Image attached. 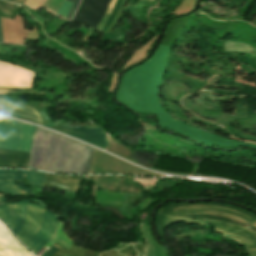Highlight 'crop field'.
<instances>
[{"label":"crop field","mask_w":256,"mask_h":256,"mask_svg":"<svg viewBox=\"0 0 256 256\" xmlns=\"http://www.w3.org/2000/svg\"><path fill=\"white\" fill-rule=\"evenodd\" d=\"M171 48L162 46L144 64L124 74L117 98L130 108L144 113H155L161 125L177 130L197 142L220 146L256 145L241 143L199 130L170 116L160 105L157 90L162 80L167 56Z\"/></svg>","instance_id":"8a807250"},{"label":"crop field","mask_w":256,"mask_h":256,"mask_svg":"<svg viewBox=\"0 0 256 256\" xmlns=\"http://www.w3.org/2000/svg\"><path fill=\"white\" fill-rule=\"evenodd\" d=\"M92 150V147L37 127L28 168L66 174H87Z\"/></svg>","instance_id":"ac0d7876"},{"label":"crop field","mask_w":256,"mask_h":256,"mask_svg":"<svg viewBox=\"0 0 256 256\" xmlns=\"http://www.w3.org/2000/svg\"><path fill=\"white\" fill-rule=\"evenodd\" d=\"M163 215L209 213L225 216L252 225L256 214L216 202L171 203L158 210Z\"/></svg>","instance_id":"34b2d1b8"},{"label":"crop field","mask_w":256,"mask_h":256,"mask_svg":"<svg viewBox=\"0 0 256 256\" xmlns=\"http://www.w3.org/2000/svg\"><path fill=\"white\" fill-rule=\"evenodd\" d=\"M35 128L0 116V149L30 153Z\"/></svg>","instance_id":"412701ff"},{"label":"crop field","mask_w":256,"mask_h":256,"mask_svg":"<svg viewBox=\"0 0 256 256\" xmlns=\"http://www.w3.org/2000/svg\"><path fill=\"white\" fill-rule=\"evenodd\" d=\"M209 222L223 236L242 241L247 256H256V232L227 222L201 219Z\"/></svg>","instance_id":"f4fd0767"},{"label":"crop field","mask_w":256,"mask_h":256,"mask_svg":"<svg viewBox=\"0 0 256 256\" xmlns=\"http://www.w3.org/2000/svg\"><path fill=\"white\" fill-rule=\"evenodd\" d=\"M34 72L0 62V88H33Z\"/></svg>","instance_id":"dd49c442"},{"label":"crop field","mask_w":256,"mask_h":256,"mask_svg":"<svg viewBox=\"0 0 256 256\" xmlns=\"http://www.w3.org/2000/svg\"><path fill=\"white\" fill-rule=\"evenodd\" d=\"M109 0H82L78 12L72 21L96 29Z\"/></svg>","instance_id":"e52e79f7"},{"label":"crop field","mask_w":256,"mask_h":256,"mask_svg":"<svg viewBox=\"0 0 256 256\" xmlns=\"http://www.w3.org/2000/svg\"><path fill=\"white\" fill-rule=\"evenodd\" d=\"M45 209V206L28 203L25 224L16 235L25 246L39 231Z\"/></svg>","instance_id":"d8731c3e"},{"label":"crop field","mask_w":256,"mask_h":256,"mask_svg":"<svg viewBox=\"0 0 256 256\" xmlns=\"http://www.w3.org/2000/svg\"><path fill=\"white\" fill-rule=\"evenodd\" d=\"M101 129L96 126L87 125L85 127L75 129L60 128L58 131L85 141L96 147L105 149L107 147V139Z\"/></svg>","instance_id":"5a996713"},{"label":"crop field","mask_w":256,"mask_h":256,"mask_svg":"<svg viewBox=\"0 0 256 256\" xmlns=\"http://www.w3.org/2000/svg\"><path fill=\"white\" fill-rule=\"evenodd\" d=\"M56 226L57 218L46 211L40 231L26 247L36 255L43 245L51 240Z\"/></svg>","instance_id":"3316defc"},{"label":"crop field","mask_w":256,"mask_h":256,"mask_svg":"<svg viewBox=\"0 0 256 256\" xmlns=\"http://www.w3.org/2000/svg\"><path fill=\"white\" fill-rule=\"evenodd\" d=\"M0 113L7 116L20 118L30 122L41 124L37 112L27 106L6 100L0 97Z\"/></svg>","instance_id":"28ad6ade"},{"label":"crop field","mask_w":256,"mask_h":256,"mask_svg":"<svg viewBox=\"0 0 256 256\" xmlns=\"http://www.w3.org/2000/svg\"><path fill=\"white\" fill-rule=\"evenodd\" d=\"M0 256H32L0 223Z\"/></svg>","instance_id":"d1516ede"},{"label":"crop field","mask_w":256,"mask_h":256,"mask_svg":"<svg viewBox=\"0 0 256 256\" xmlns=\"http://www.w3.org/2000/svg\"><path fill=\"white\" fill-rule=\"evenodd\" d=\"M81 177L82 176H61L48 174L45 185L77 193Z\"/></svg>","instance_id":"22f410ed"},{"label":"crop field","mask_w":256,"mask_h":256,"mask_svg":"<svg viewBox=\"0 0 256 256\" xmlns=\"http://www.w3.org/2000/svg\"><path fill=\"white\" fill-rule=\"evenodd\" d=\"M30 154L0 150V167L27 168Z\"/></svg>","instance_id":"cbeb9de0"},{"label":"crop field","mask_w":256,"mask_h":256,"mask_svg":"<svg viewBox=\"0 0 256 256\" xmlns=\"http://www.w3.org/2000/svg\"><path fill=\"white\" fill-rule=\"evenodd\" d=\"M20 203H6L0 205V219L13 232L18 217V209Z\"/></svg>","instance_id":"5142ce71"},{"label":"crop field","mask_w":256,"mask_h":256,"mask_svg":"<svg viewBox=\"0 0 256 256\" xmlns=\"http://www.w3.org/2000/svg\"><path fill=\"white\" fill-rule=\"evenodd\" d=\"M0 174H24L27 175V182L44 189V181L46 173L35 171L20 170H0Z\"/></svg>","instance_id":"d9b57169"},{"label":"crop field","mask_w":256,"mask_h":256,"mask_svg":"<svg viewBox=\"0 0 256 256\" xmlns=\"http://www.w3.org/2000/svg\"><path fill=\"white\" fill-rule=\"evenodd\" d=\"M96 201L124 206L123 193L97 190Z\"/></svg>","instance_id":"733c2abd"},{"label":"crop field","mask_w":256,"mask_h":256,"mask_svg":"<svg viewBox=\"0 0 256 256\" xmlns=\"http://www.w3.org/2000/svg\"><path fill=\"white\" fill-rule=\"evenodd\" d=\"M178 221H185L187 223H197V224L207 225L205 223H202L193 219L157 215V228L161 237L162 238L164 237V223L178 222Z\"/></svg>","instance_id":"4a817a6b"},{"label":"crop field","mask_w":256,"mask_h":256,"mask_svg":"<svg viewBox=\"0 0 256 256\" xmlns=\"http://www.w3.org/2000/svg\"><path fill=\"white\" fill-rule=\"evenodd\" d=\"M17 5L0 0V16L13 18Z\"/></svg>","instance_id":"bc2a9ffb"},{"label":"crop field","mask_w":256,"mask_h":256,"mask_svg":"<svg viewBox=\"0 0 256 256\" xmlns=\"http://www.w3.org/2000/svg\"><path fill=\"white\" fill-rule=\"evenodd\" d=\"M27 202L28 201H21L18 222H17L16 228L13 232L15 235L19 232L20 228L22 227V225L24 223Z\"/></svg>","instance_id":"214f88e0"},{"label":"crop field","mask_w":256,"mask_h":256,"mask_svg":"<svg viewBox=\"0 0 256 256\" xmlns=\"http://www.w3.org/2000/svg\"><path fill=\"white\" fill-rule=\"evenodd\" d=\"M121 1H122V0H117V1H116L115 5H114V7H113V9H112V11H111V13H110V16H109L107 22L105 23V25H104V27H103V29H102L103 32H106V30L108 29V27H109L110 24L112 23V21H113L115 15H116V13H117V10H118V8H119V5H120Z\"/></svg>","instance_id":"92a150f3"},{"label":"crop field","mask_w":256,"mask_h":256,"mask_svg":"<svg viewBox=\"0 0 256 256\" xmlns=\"http://www.w3.org/2000/svg\"><path fill=\"white\" fill-rule=\"evenodd\" d=\"M0 192L5 193H24L30 192L27 188L22 186L0 187Z\"/></svg>","instance_id":"dafd665d"},{"label":"crop field","mask_w":256,"mask_h":256,"mask_svg":"<svg viewBox=\"0 0 256 256\" xmlns=\"http://www.w3.org/2000/svg\"><path fill=\"white\" fill-rule=\"evenodd\" d=\"M115 1H116V0H111V1H110L109 7H108L106 13L104 14L103 18L101 19V21H100V23H99V25H98V27H97V30H99V31L101 30V28H102L104 22L106 21V19H107L109 13H110V11H111V9H112V7H113Z\"/></svg>","instance_id":"00972430"},{"label":"crop field","mask_w":256,"mask_h":256,"mask_svg":"<svg viewBox=\"0 0 256 256\" xmlns=\"http://www.w3.org/2000/svg\"><path fill=\"white\" fill-rule=\"evenodd\" d=\"M72 5V2L65 1L61 9L58 11V13L62 14L65 17L70 11Z\"/></svg>","instance_id":"a9b5d70f"},{"label":"crop field","mask_w":256,"mask_h":256,"mask_svg":"<svg viewBox=\"0 0 256 256\" xmlns=\"http://www.w3.org/2000/svg\"><path fill=\"white\" fill-rule=\"evenodd\" d=\"M23 175H0V180H18L24 179Z\"/></svg>","instance_id":"4177f3b9"},{"label":"crop field","mask_w":256,"mask_h":256,"mask_svg":"<svg viewBox=\"0 0 256 256\" xmlns=\"http://www.w3.org/2000/svg\"><path fill=\"white\" fill-rule=\"evenodd\" d=\"M45 0H26L25 5L39 8Z\"/></svg>","instance_id":"730fd06b"},{"label":"crop field","mask_w":256,"mask_h":256,"mask_svg":"<svg viewBox=\"0 0 256 256\" xmlns=\"http://www.w3.org/2000/svg\"><path fill=\"white\" fill-rule=\"evenodd\" d=\"M68 1L75 2V4H74L73 8L71 9L70 13L68 14V16L66 15L67 16L66 19L70 20L73 13L76 11V9L78 7L80 0H68Z\"/></svg>","instance_id":"eef30255"},{"label":"crop field","mask_w":256,"mask_h":256,"mask_svg":"<svg viewBox=\"0 0 256 256\" xmlns=\"http://www.w3.org/2000/svg\"><path fill=\"white\" fill-rule=\"evenodd\" d=\"M60 247L54 245L52 247L49 248V250L43 255V256H52V254L58 250Z\"/></svg>","instance_id":"ae1a2a85"},{"label":"crop field","mask_w":256,"mask_h":256,"mask_svg":"<svg viewBox=\"0 0 256 256\" xmlns=\"http://www.w3.org/2000/svg\"><path fill=\"white\" fill-rule=\"evenodd\" d=\"M15 185L14 181H0V186H11Z\"/></svg>","instance_id":"d3111659"},{"label":"crop field","mask_w":256,"mask_h":256,"mask_svg":"<svg viewBox=\"0 0 256 256\" xmlns=\"http://www.w3.org/2000/svg\"><path fill=\"white\" fill-rule=\"evenodd\" d=\"M6 202H7V201H6V199H5L4 195H3V193H0V204L6 203Z\"/></svg>","instance_id":"750c4746"},{"label":"crop field","mask_w":256,"mask_h":256,"mask_svg":"<svg viewBox=\"0 0 256 256\" xmlns=\"http://www.w3.org/2000/svg\"><path fill=\"white\" fill-rule=\"evenodd\" d=\"M8 1L23 4L25 0H8Z\"/></svg>","instance_id":"bd1437ed"},{"label":"crop field","mask_w":256,"mask_h":256,"mask_svg":"<svg viewBox=\"0 0 256 256\" xmlns=\"http://www.w3.org/2000/svg\"><path fill=\"white\" fill-rule=\"evenodd\" d=\"M0 42H3V39H2V32H1V26H0Z\"/></svg>","instance_id":"1d83c4d3"}]
</instances>
